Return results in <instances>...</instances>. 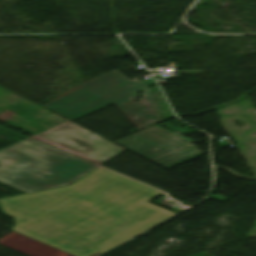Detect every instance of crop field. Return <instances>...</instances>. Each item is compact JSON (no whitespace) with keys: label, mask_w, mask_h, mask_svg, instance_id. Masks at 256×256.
<instances>
[{"label":"crop field","mask_w":256,"mask_h":256,"mask_svg":"<svg viewBox=\"0 0 256 256\" xmlns=\"http://www.w3.org/2000/svg\"><path fill=\"white\" fill-rule=\"evenodd\" d=\"M156 191L97 168L76 182L49 190L0 199L11 230L75 256L91 253L102 231L150 207Z\"/></svg>","instance_id":"1"},{"label":"crop field","mask_w":256,"mask_h":256,"mask_svg":"<svg viewBox=\"0 0 256 256\" xmlns=\"http://www.w3.org/2000/svg\"><path fill=\"white\" fill-rule=\"evenodd\" d=\"M154 82V79L142 82L130 81L115 70L84 82L41 107L73 121L85 114L115 104L141 130L161 120L150 90L144 86ZM139 92L143 93L137 95ZM142 95L144 96L139 102L132 103ZM147 119H150L149 123Z\"/></svg>","instance_id":"2"},{"label":"crop field","mask_w":256,"mask_h":256,"mask_svg":"<svg viewBox=\"0 0 256 256\" xmlns=\"http://www.w3.org/2000/svg\"><path fill=\"white\" fill-rule=\"evenodd\" d=\"M97 167L33 138L0 150V182L27 193L70 184Z\"/></svg>","instance_id":"3"},{"label":"crop field","mask_w":256,"mask_h":256,"mask_svg":"<svg viewBox=\"0 0 256 256\" xmlns=\"http://www.w3.org/2000/svg\"><path fill=\"white\" fill-rule=\"evenodd\" d=\"M116 143L165 168L202 153L189 141L156 126Z\"/></svg>","instance_id":"4"},{"label":"crop field","mask_w":256,"mask_h":256,"mask_svg":"<svg viewBox=\"0 0 256 256\" xmlns=\"http://www.w3.org/2000/svg\"><path fill=\"white\" fill-rule=\"evenodd\" d=\"M35 136L96 160L98 164L104 163L125 151L69 121Z\"/></svg>","instance_id":"5"},{"label":"crop field","mask_w":256,"mask_h":256,"mask_svg":"<svg viewBox=\"0 0 256 256\" xmlns=\"http://www.w3.org/2000/svg\"><path fill=\"white\" fill-rule=\"evenodd\" d=\"M144 203L151 208L97 236L92 253L89 256H96L176 214L146 201Z\"/></svg>","instance_id":"6"}]
</instances>
